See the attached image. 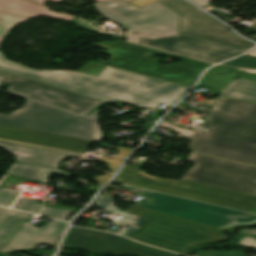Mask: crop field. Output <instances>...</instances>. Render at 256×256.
Segmentation results:
<instances>
[{"label": "crop field", "mask_w": 256, "mask_h": 256, "mask_svg": "<svg viewBox=\"0 0 256 256\" xmlns=\"http://www.w3.org/2000/svg\"><path fill=\"white\" fill-rule=\"evenodd\" d=\"M109 20L128 30L122 39L184 56L218 62L245 50L180 34V16L158 1L139 9L122 0L94 4Z\"/></svg>", "instance_id": "8a807250"}, {"label": "crop field", "mask_w": 256, "mask_h": 256, "mask_svg": "<svg viewBox=\"0 0 256 256\" xmlns=\"http://www.w3.org/2000/svg\"><path fill=\"white\" fill-rule=\"evenodd\" d=\"M175 132L191 135V149L256 165V105L229 98H222L214 105L207 121L197 129L187 131L161 122Z\"/></svg>", "instance_id": "ac0d7876"}, {"label": "crop field", "mask_w": 256, "mask_h": 256, "mask_svg": "<svg viewBox=\"0 0 256 256\" xmlns=\"http://www.w3.org/2000/svg\"><path fill=\"white\" fill-rule=\"evenodd\" d=\"M96 206L124 216L118 222L129 225L120 235L169 251L186 255L194 246L227 240L222 229L172 216L136 205L124 212L116 209L112 199L99 195Z\"/></svg>", "instance_id": "34b2d1b8"}, {"label": "crop field", "mask_w": 256, "mask_h": 256, "mask_svg": "<svg viewBox=\"0 0 256 256\" xmlns=\"http://www.w3.org/2000/svg\"><path fill=\"white\" fill-rule=\"evenodd\" d=\"M0 71L66 89L102 102H129L134 94L144 96L170 85L158 79L107 66L97 77L68 71H33L16 65L0 52Z\"/></svg>", "instance_id": "412701ff"}, {"label": "crop field", "mask_w": 256, "mask_h": 256, "mask_svg": "<svg viewBox=\"0 0 256 256\" xmlns=\"http://www.w3.org/2000/svg\"><path fill=\"white\" fill-rule=\"evenodd\" d=\"M97 117L98 113L92 117L83 118L34 101H27L22 109L10 115L0 114V124L90 141H100L102 134Z\"/></svg>", "instance_id": "f4fd0767"}, {"label": "crop field", "mask_w": 256, "mask_h": 256, "mask_svg": "<svg viewBox=\"0 0 256 256\" xmlns=\"http://www.w3.org/2000/svg\"><path fill=\"white\" fill-rule=\"evenodd\" d=\"M114 181L239 210H248L256 207V196L183 180L157 178L146 174L138 168L127 165Z\"/></svg>", "instance_id": "dd49c442"}, {"label": "crop field", "mask_w": 256, "mask_h": 256, "mask_svg": "<svg viewBox=\"0 0 256 256\" xmlns=\"http://www.w3.org/2000/svg\"><path fill=\"white\" fill-rule=\"evenodd\" d=\"M99 47H103L107 49V52L100 51V53H105L111 55L110 59L107 62L102 60H97L102 63L124 68L127 70L159 77L162 79L178 82L186 79H190L196 76V74H200V71L176 66V65H161L158 64V59L154 60L152 57L154 55H165L170 57L181 58L180 62L177 64L197 68V69H205L208 67L209 63H205L202 61L150 49L141 46H136L128 43H124L121 41H113L112 43L101 42L99 44H94Z\"/></svg>", "instance_id": "e52e79f7"}, {"label": "crop field", "mask_w": 256, "mask_h": 256, "mask_svg": "<svg viewBox=\"0 0 256 256\" xmlns=\"http://www.w3.org/2000/svg\"><path fill=\"white\" fill-rule=\"evenodd\" d=\"M196 163L183 180L256 195V167L192 153Z\"/></svg>", "instance_id": "d8731c3e"}, {"label": "crop field", "mask_w": 256, "mask_h": 256, "mask_svg": "<svg viewBox=\"0 0 256 256\" xmlns=\"http://www.w3.org/2000/svg\"><path fill=\"white\" fill-rule=\"evenodd\" d=\"M62 248L83 249L93 254H132L136 256H180L147 245L139 244L125 237L100 231L71 227Z\"/></svg>", "instance_id": "5a996713"}, {"label": "crop field", "mask_w": 256, "mask_h": 256, "mask_svg": "<svg viewBox=\"0 0 256 256\" xmlns=\"http://www.w3.org/2000/svg\"><path fill=\"white\" fill-rule=\"evenodd\" d=\"M136 204L217 227L242 213V211L238 210L200 203L151 191L144 194Z\"/></svg>", "instance_id": "3316defc"}, {"label": "crop field", "mask_w": 256, "mask_h": 256, "mask_svg": "<svg viewBox=\"0 0 256 256\" xmlns=\"http://www.w3.org/2000/svg\"><path fill=\"white\" fill-rule=\"evenodd\" d=\"M159 2L181 16L179 32L245 50L254 45L226 30V26L222 23L183 0H160Z\"/></svg>", "instance_id": "28ad6ade"}, {"label": "crop field", "mask_w": 256, "mask_h": 256, "mask_svg": "<svg viewBox=\"0 0 256 256\" xmlns=\"http://www.w3.org/2000/svg\"><path fill=\"white\" fill-rule=\"evenodd\" d=\"M5 83L10 84L8 91L55 107L81 115L87 114L98 106L99 101L46 84L9 74Z\"/></svg>", "instance_id": "d1516ede"}, {"label": "crop field", "mask_w": 256, "mask_h": 256, "mask_svg": "<svg viewBox=\"0 0 256 256\" xmlns=\"http://www.w3.org/2000/svg\"><path fill=\"white\" fill-rule=\"evenodd\" d=\"M0 139L86 153L92 142L0 125Z\"/></svg>", "instance_id": "22f410ed"}, {"label": "crop field", "mask_w": 256, "mask_h": 256, "mask_svg": "<svg viewBox=\"0 0 256 256\" xmlns=\"http://www.w3.org/2000/svg\"><path fill=\"white\" fill-rule=\"evenodd\" d=\"M0 146L9 150L16 162L58 168V163L66 157H83L84 155L41 148L36 146L6 142L0 140Z\"/></svg>", "instance_id": "cbeb9de0"}, {"label": "crop field", "mask_w": 256, "mask_h": 256, "mask_svg": "<svg viewBox=\"0 0 256 256\" xmlns=\"http://www.w3.org/2000/svg\"><path fill=\"white\" fill-rule=\"evenodd\" d=\"M189 87L173 84L149 93L144 97L134 95L130 104L156 108L159 103L172 105Z\"/></svg>", "instance_id": "5142ce71"}, {"label": "crop field", "mask_w": 256, "mask_h": 256, "mask_svg": "<svg viewBox=\"0 0 256 256\" xmlns=\"http://www.w3.org/2000/svg\"><path fill=\"white\" fill-rule=\"evenodd\" d=\"M0 10L29 18H34L38 15H46L67 21L72 18V16L52 12L47 7L23 0H0Z\"/></svg>", "instance_id": "d9b57169"}, {"label": "crop field", "mask_w": 256, "mask_h": 256, "mask_svg": "<svg viewBox=\"0 0 256 256\" xmlns=\"http://www.w3.org/2000/svg\"><path fill=\"white\" fill-rule=\"evenodd\" d=\"M43 172H45L46 174H43ZM53 173L73 177V175L60 169L18 163H13V165L6 172V174L8 175L44 184L49 183V177Z\"/></svg>", "instance_id": "733c2abd"}, {"label": "crop field", "mask_w": 256, "mask_h": 256, "mask_svg": "<svg viewBox=\"0 0 256 256\" xmlns=\"http://www.w3.org/2000/svg\"><path fill=\"white\" fill-rule=\"evenodd\" d=\"M39 243L56 246L57 235L15 233L0 252L15 249H35Z\"/></svg>", "instance_id": "4a817a6b"}, {"label": "crop field", "mask_w": 256, "mask_h": 256, "mask_svg": "<svg viewBox=\"0 0 256 256\" xmlns=\"http://www.w3.org/2000/svg\"><path fill=\"white\" fill-rule=\"evenodd\" d=\"M29 214L0 207V250Z\"/></svg>", "instance_id": "bc2a9ffb"}, {"label": "crop field", "mask_w": 256, "mask_h": 256, "mask_svg": "<svg viewBox=\"0 0 256 256\" xmlns=\"http://www.w3.org/2000/svg\"><path fill=\"white\" fill-rule=\"evenodd\" d=\"M220 95L256 102V82L243 79L232 80Z\"/></svg>", "instance_id": "214f88e0"}, {"label": "crop field", "mask_w": 256, "mask_h": 256, "mask_svg": "<svg viewBox=\"0 0 256 256\" xmlns=\"http://www.w3.org/2000/svg\"><path fill=\"white\" fill-rule=\"evenodd\" d=\"M30 223L24 222L23 225L17 232L27 233H50V234H62L65 228L68 226L67 223H62L52 220L47 225L37 229L29 225Z\"/></svg>", "instance_id": "92a150f3"}, {"label": "crop field", "mask_w": 256, "mask_h": 256, "mask_svg": "<svg viewBox=\"0 0 256 256\" xmlns=\"http://www.w3.org/2000/svg\"><path fill=\"white\" fill-rule=\"evenodd\" d=\"M218 66L256 74V57L245 55L241 58L230 60Z\"/></svg>", "instance_id": "dafd665d"}, {"label": "crop field", "mask_w": 256, "mask_h": 256, "mask_svg": "<svg viewBox=\"0 0 256 256\" xmlns=\"http://www.w3.org/2000/svg\"><path fill=\"white\" fill-rule=\"evenodd\" d=\"M26 180H22L16 177L10 176L6 182H8L5 188H0V205L9 207V205L15 200V198L21 193L19 190H9V185H19Z\"/></svg>", "instance_id": "00972430"}, {"label": "crop field", "mask_w": 256, "mask_h": 256, "mask_svg": "<svg viewBox=\"0 0 256 256\" xmlns=\"http://www.w3.org/2000/svg\"><path fill=\"white\" fill-rule=\"evenodd\" d=\"M28 18L0 12V45L3 37L16 25L26 21Z\"/></svg>", "instance_id": "a9b5d70f"}, {"label": "crop field", "mask_w": 256, "mask_h": 256, "mask_svg": "<svg viewBox=\"0 0 256 256\" xmlns=\"http://www.w3.org/2000/svg\"><path fill=\"white\" fill-rule=\"evenodd\" d=\"M70 211H76V209L70 210V208L63 207V206H60L59 209L44 207V209L41 211L40 215L64 220L66 218V216L70 213Z\"/></svg>", "instance_id": "4177f3b9"}, {"label": "crop field", "mask_w": 256, "mask_h": 256, "mask_svg": "<svg viewBox=\"0 0 256 256\" xmlns=\"http://www.w3.org/2000/svg\"><path fill=\"white\" fill-rule=\"evenodd\" d=\"M41 207L42 205L39 204L37 201L26 198H19L13 205V208L30 211L35 214L39 211Z\"/></svg>", "instance_id": "730fd06b"}, {"label": "crop field", "mask_w": 256, "mask_h": 256, "mask_svg": "<svg viewBox=\"0 0 256 256\" xmlns=\"http://www.w3.org/2000/svg\"><path fill=\"white\" fill-rule=\"evenodd\" d=\"M105 67L106 65L89 60L77 72L97 77Z\"/></svg>", "instance_id": "eef30255"}, {"label": "crop field", "mask_w": 256, "mask_h": 256, "mask_svg": "<svg viewBox=\"0 0 256 256\" xmlns=\"http://www.w3.org/2000/svg\"><path fill=\"white\" fill-rule=\"evenodd\" d=\"M254 222H256V215L244 212L241 215H239L238 217H236L233 220H231L230 222H228L227 224L221 226L220 228L230 229L235 224L254 223Z\"/></svg>", "instance_id": "ae1a2a85"}, {"label": "crop field", "mask_w": 256, "mask_h": 256, "mask_svg": "<svg viewBox=\"0 0 256 256\" xmlns=\"http://www.w3.org/2000/svg\"><path fill=\"white\" fill-rule=\"evenodd\" d=\"M122 158L119 157H112L111 159L106 158H98V161L105 162L110 169L111 173H115L117 169L122 165L123 161Z\"/></svg>", "instance_id": "d3111659"}, {"label": "crop field", "mask_w": 256, "mask_h": 256, "mask_svg": "<svg viewBox=\"0 0 256 256\" xmlns=\"http://www.w3.org/2000/svg\"><path fill=\"white\" fill-rule=\"evenodd\" d=\"M195 256H245V254L237 252L199 251Z\"/></svg>", "instance_id": "750c4746"}, {"label": "crop field", "mask_w": 256, "mask_h": 256, "mask_svg": "<svg viewBox=\"0 0 256 256\" xmlns=\"http://www.w3.org/2000/svg\"><path fill=\"white\" fill-rule=\"evenodd\" d=\"M155 1H157V0H134V1L130 2V3H132V4L142 8V7H144V6L148 5V4H151V3L155 2Z\"/></svg>", "instance_id": "bd1437ed"}, {"label": "crop field", "mask_w": 256, "mask_h": 256, "mask_svg": "<svg viewBox=\"0 0 256 256\" xmlns=\"http://www.w3.org/2000/svg\"><path fill=\"white\" fill-rule=\"evenodd\" d=\"M240 244L246 245V246L256 247V239L245 237V238L240 242Z\"/></svg>", "instance_id": "1d83c4d3"}, {"label": "crop field", "mask_w": 256, "mask_h": 256, "mask_svg": "<svg viewBox=\"0 0 256 256\" xmlns=\"http://www.w3.org/2000/svg\"><path fill=\"white\" fill-rule=\"evenodd\" d=\"M115 151L118 152L116 155L124 156V157H128L129 154L132 152V150H127V149L120 148V147L116 148Z\"/></svg>", "instance_id": "120bbe31"}, {"label": "crop field", "mask_w": 256, "mask_h": 256, "mask_svg": "<svg viewBox=\"0 0 256 256\" xmlns=\"http://www.w3.org/2000/svg\"><path fill=\"white\" fill-rule=\"evenodd\" d=\"M113 175L111 174H107V175H101V176H96L94 178V180L98 183H102L104 184L110 177H112Z\"/></svg>", "instance_id": "d32e631a"}, {"label": "crop field", "mask_w": 256, "mask_h": 256, "mask_svg": "<svg viewBox=\"0 0 256 256\" xmlns=\"http://www.w3.org/2000/svg\"><path fill=\"white\" fill-rule=\"evenodd\" d=\"M221 71H235V70H231V69H226V68L215 66L212 69L208 70L207 73H215V72H221Z\"/></svg>", "instance_id": "5866460e"}, {"label": "crop field", "mask_w": 256, "mask_h": 256, "mask_svg": "<svg viewBox=\"0 0 256 256\" xmlns=\"http://www.w3.org/2000/svg\"><path fill=\"white\" fill-rule=\"evenodd\" d=\"M193 1L194 3L200 5L201 7L205 6V5H208L209 4V1L211 0H191Z\"/></svg>", "instance_id": "028f5c9d"}, {"label": "crop field", "mask_w": 256, "mask_h": 256, "mask_svg": "<svg viewBox=\"0 0 256 256\" xmlns=\"http://www.w3.org/2000/svg\"><path fill=\"white\" fill-rule=\"evenodd\" d=\"M197 77H198V75L193 80H188V81H184V82H180V83L189 86L190 84L195 83Z\"/></svg>", "instance_id": "e1f06a70"}, {"label": "crop field", "mask_w": 256, "mask_h": 256, "mask_svg": "<svg viewBox=\"0 0 256 256\" xmlns=\"http://www.w3.org/2000/svg\"><path fill=\"white\" fill-rule=\"evenodd\" d=\"M7 76L8 73L0 72V85L4 82Z\"/></svg>", "instance_id": "0bd39190"}, {"label": "crop field", "mask_w": 256, "mask_h": 256, "mask_svg": "<svg viewBox=\"0 0 256 256\" xmlns=\"http://www.w3.org/2000/svg\"><path fill=\"white\" fill-rule=\"evenodd\" d=\"M30 1L37 2V3H40V4H44V2H45L46 0H30ZM52 1L60 2L61 0H52Z\"/></svg>", "instance_id": "b80d0937"}, {"label": "crop field", "mask_w": 256, "mask_h": 256, "mask_svg": "<svg viewBox=\"0 0 256 256\" xmlns=\"http://www.w3.org/2000/svg\"><path fill=\"white\" fill-rule=\"evenodd\" d=\"M244 233L246 234H256V230H249V229H246L243 231Z\"/></svg>", "instance_id": "c035e120"}, {"label": "crop field", "mask_w": 256, "mask_h": 256, "mask_svg": "<svg viewBox=\"0 0 256 256\" xmlns=\"http://www.w3.org/2000/svg\"><path fill=\"white\" fill-rule=\"evenodd\" d=\"M122 230V228L116 227L115 229H110L108 231L114 232V233H119Z\"/></svg>", "instance_id": "c21b1889"}, {"label": "crop field", "mask_w": 256, "mask_h": 256, "mask_svg": "<svg viewBox=\"0 0 256 256\" xmlns=\"http://www.w3.org/2000/svg\"><path fill=\"white\" fill-rule=\"evenodd\" d=\"M248 55L256 56V49L254 51H252L251 53H249Z\"/></svg>", "instance_id": "03da06ac"}, {"label": "crop field", "mask_w": 256, "mask_h": 256, "mask_svg": "<svg viewBox=\"0 0 256 256\" xmlns=\"http://www.w3.org/2000/svg\"><path fill=\"white\" fill-rule=\"evenodd\" d=\"M249 211L256 213V208H254V209H252V210H249Z\"/></svg>", "instance_id": "b54c1fbb"}, {"label": "crop field", "mask_w": 256, "mask_h": 256, "mask_svg": "<svg viewBox=\"0 0 256 256\" xmlns=\"http://www.w3.org/2000/svg\"><path fill=\"white\" fill-rule=\"evenodd\" d=\"M94 1H103V0H94ZM125 1H130V0H125Z\"/></svg>", "instance_id": "5d738f31"}, {"label": "crop field", "mask_w": 256, "mask_h": 256, "mask_svg": "<svg viewBox=\"0 0 256 256\" xmlns=\"http://www.w3.org/2000/svg\"><path fill=\"white\" fill-rule=\"evenodd\" d=\"M57 256H60V255H57Z\"/></svg>", "instance_id": "d23c7cc5"}]
</instances>
